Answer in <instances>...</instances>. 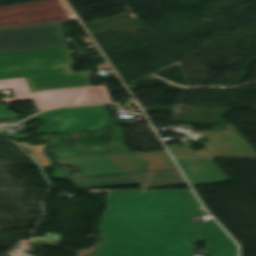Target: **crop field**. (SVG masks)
<instances>
[{"label":"crop field","instance_id":"13","mask_svg":"<svg viewBox=\"0 0 256 256\" xmlns=\"http://www.w3.org/2000/svg\"><path fill=\"white\" fill-rule=\"evenodd\" d=\"M209 226H200L201 230L192 234L207 242L206 254L210 256H238V247L223 229L214 221H206Z\"/></svg>","mask_w":256,"mask_h":256},{"label":"crop field","instance_id":"5","mask_svg":"<svg viewBox=\"0 0 256 256\" xmlns=\"http://www.w3.org/2000/svg\"><path fill=\"white\" fill-rule=\"evenodd\" d=\"M67 47L0 54V79L73 72Z\"/></svg>","mask_w":256,"mask_h":256},{"label":"crop field","instance_id":"12","mask_svg":"<svg viewBox=\"0 0 256 256\" xmlns=\"http://www.w3.org/2000/svg\"><path fill=\"white\" fill-rule=\"evenodd\" d=\"M125 173L176 168L167 151L104 154Z\"/></svg>","mask_w":256,"mask_h":256},{"label":"crop field","instance_id":"4","mask_svg":"<svg viewBox=\"0 0 256 256\" xmlns=\"http://www.w3.org/2000/svg\"><path fill=\"white\" fill-rule=\"evenodd\" d=\"M12 89L16 98L4 103L33 100L39 111L61 106L113 102L106 87H77L30 93L24 78L0 80V90Z\"/></svg>","mask_w":256,"mask_h":256},{"label":"crop field","instance_id":"15","mask_svg":"<svg viewBox=\"0 0 256 256\" xmlns=\"http://www.w3.org/2000/svg\"><path fill=\"white\" fill-rule=\"evenodd\" d=\"M25 79L31 91L91 85L88 72L33 76Z\"/></svg>","mask_w":256,"mask_h":256},{"label":"crop field","instance_id":"6","mask_svg":"<svg viewBox=\"0 0 256 256\" xmlns=\"http://www.w3.org/2000/svg\"><path fill=\"white\" fill-rule=\"evenodd\" d=\"M67 46L61 22L0 30V53Z\"/></svg>","mask_w":256,"mask_h":256},{"label":"crop field","instance_id":"10","mask_svg":"<svg viewBox=\"0 0 256 256\" xmlns=\"http://www.w3.org/2000/svg\"><path fill=\"white\" fill-rule=\"evenodd\" d=\"M84 181L88 188L140 184L143 190H147V188L186 185L178 170L86 178Z\"/></svg>","mask_w":256,"mask_h":256},{"label":"crop field","instance_id":"2","mask_svg":"<svg viewBox=\"0 0 256 256\" xmlns=\"http://www.w3.org/2000/svg\"><path fill=\"white\" fill-rule=\"evenodd\" d=\"M188 230L176 225H165L138 230L103 234L105 243L93 256H192L194 243Z\"/></svg>","mask_w":256,"mask_h":256},{"label":"crop field","instance_id":"7","mask_svg":"<svg viewBox=\"0 0 256 256\" xmlns=\"http://www.w3.org/2000/svg\"><path fill=\"white\" fill-rule=\"evenodd\" d=\"M119 225L99 227L102 233L173 223L154 200H108Z\"/></svg>","mask_w":256,"mask_h":256},{"label":"crop field","instance_id":"14","mask_svg":"<svg viewBox=\"0 0 256 256\" xmlns=\"http://www.w3.org/2000/svg\"><path fill=\"white\" fill-rule=\"evenodd\" d=\"M176 161L193 186L229 180L212 159H176Z\"/></svg>","mask_w":256,"mask_h":256},{"label":"crop field","instance_id":"9","mask_svg":"<svg viewBox=\"0 0 256 256\" xmlns=\"http://www.w3.org/2000/svg\"><path fill=\"white\" fill-rule=\"evenodd\" d=\"M75 18L63 0H42L0 7V25L59 21Z\"/></svg>","mask_w":256,"mask_h":256},{"label":"crop field","instance_id":"11","mask_svg":"<svg viewBox=\"0 0 256 256\" xmlns=\"http://www.w3.org/2000/svg\"><path fill=\"white\" fill-rule=\"evenodd\" d=\"M54 161L58 166L78 165L81 172V175L70 176L68 167L56 168L53 177L57 179L124 173L103 155L61 158L55 159ZM70 182L76 184V188H86L82 178L70 180Z\"/></svg>","mask_w":256,"mask_h":256},{"label":"crop field","instance_id":"8","mask_svg":"<svg viewBox=\"0 0 256 256\" xmlns=\"http://www.w3.org/2000/svg\"><path fill=\"white\" fill-rule=\"evenodd\" d=\"M203 132L209 140L203 143L207 149L193 152L190 147L168 146L173 157H256V152L233 125L221 131Z\"/></svg>","mask_w":256,"mask_h":256},{"label":"crop field","instance_id":"1","mask_svg":"<svg viewBox=\"0 0 256 256\" xmlns=\"http://www.w3.org/2000/svg\"><path fill=\"white\" fill-rule=\"evenodd\" d=\"M40 115L43 118L38 115L34 119L44 121L46 124L40 126L37 134L94 130L113 125L109 129L114 136L106 145H100V140L104 132L109 129L82 135L75 141L76 147H70L67 135H38L42 141L54 142L47 152L54 154L56 158L131 151L125 145L121 128L113 124L104 105L56 109Z\"/></svg>","mask_w":256,"mask_h":256},{"label":"crop field","instance_id":"18","mask_svg":"<svg viewBox=\"0 0 256 256\" xmlns=\"http://www.w3.org/2000/svg\"><path fill=\"white\" fill-rule=\"evenodd\" d=\"M23 25H28V24H23ZM17 26H22V25L0 26V29L12 28V27H17Z\"/></svg>","mask_w":256,"mask_h":256},{"label":"crop field","instance_id":"16","mask_svg":"<svg viewBox=\"0 0 256 256\" xmlns=\"http://www.w3.org/2000/svg\"><path fill=\"white\" fill-rule=\"evenodd\" d=\"M19 144L23 146L41 166H53L52 162L49 160L48 156L43 151L46 145L30 146L27 142Z\"/></svg>","mask_w":256,"mask_h":256},{"label":"crop field","instance_id":"17","mask_svg":"<svg viewBox=\"0 0 256 256\" xmlns=\"http://www.w3.org/2000/svg\"><path fill=\"white\" fill-rule=\"evenodd\" d=\"M22 117V116H19ZM10 118H18L15 117L14 113L7 110L6 106L0 104V120L10 119Z\"/></svg>","mask_w":256,"mask_h":256},{"label":"crop field","instance_id":"3","mask_svg":"<svg viewBox=\"0 0 256 256\" xmlns=\"http://www.w3.org/2000/svg\"><path fill=\"white\" fill-rule=\"evenodd\" d=\"M107 199H154L174 223L190 230L189 235L200 230L197 226L207 225L205 221L192 220L195 216L207 214L191 191L109 190ZM113 224H118V221L109 205L99 226Z\"/></svg>","mask_w":256,"mask_h":256}]
</instances>
